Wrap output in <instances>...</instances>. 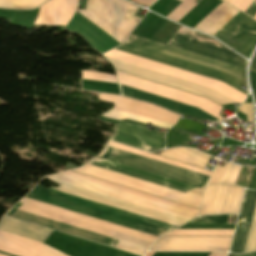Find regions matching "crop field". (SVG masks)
Returning a JSON list of instances; mask_svg holds the SVG:
<instances>
[{
	"label": "crop field",
	"instance_id": "43",
	"mask_svg": "<svg viewBox=\"0 0 256 256\" xmlns=\"http://www.w3.org/2000/svg\"><path fill=\"white\" fill-rule=\"evenodd\" d=\"M230 2L231 0H225ZM254 0H232L230 3L241 9L242 11H246V9L251 5Z\"/></svg>",
	"mask_w": 256,
	"mask_h": 256
},
{
	"label": "crop field",
	"instance_id": "39",
	"mask_svg": "<svg viewBox=\"0 0 256 256\" xmlns=\"http://www.w3.org/2000/svg\"><path fill=\"white\" fill-rule=\"evenodd\" d=\"M81 71L83 73L82 78L117 83L115 76L101 74V73H95V72H89V71H83V70H81Z\"/></svg>",
	"mask_w": 256,
	"mask_h": 256
},
{
	"label": "crop field",
	"instance_id": "8",
	"mask_svg": "<svg viewBox=\"0 0 256 256\" xmlns=\"http://www.w3.org/2000/svg\"><path fill=\"white\" fill-rule=\"evenodd\" d=\"M86 9L126 38L140 18L139 7L124 0H87Z\"/></svg>",
	"mask_w": 256,
	"mask_h": 256
},
{
	"label": "crop field",
	"instance_id": "10",
	"mask_svg": "<svg viewBox=\"0 0 256 256\" xmlns=\"http://www.w3.org/2000/svg\"><path fill=\"white\" fill-rule=\"evenodd\" d=\"M117 70L124 71L133 75H137L146 79H150L159 83H163L172 87H176L185 91H189L198 95L205 96L221 105L228 103H238L229 97L213 90L187 81H183L174 77H170L161 73H157L148 69H144L135 65L121 62L106 57Z\"/></svg>",
	"mask_w": 256,
	"mask_h": 256
},
{
	"label": "crop field",
	"instance_id": "50",
	"mask_svg": "<svg viewBox=\"0 0 256 256\" xmlns=\"http://www.w3.org/2000/svg\"><path fill=\"white\" fill-rule=\"evenodd\" d=\"M237 256H256V252L248 253V254H242V255H237Z\"/></svg>",
	"mask_w": 256,
	"mask_h": 256
},
{
	"label": "crop field",
	"instance_id": "11",
	"mask_svg": "<svg viewBox=\"0 0 256 256\" xmlns=\"http://www.w3.org/2000/svg\"><path fill=\"white\" fill-rule=\"evenodd\" d=\"M214 36L248 58L256 45V21L240 12Z\"/></svg>",
	"mask_w": 256,
	"mask_h": 256
},
{
	"label": "crop field",
	"instance_id": "40",
	"mask_svg": "<svg viewBox=\"0 0 256 256\" xmlns=\"http://www.w3.org/2000/svg\"><path fill=\"white\" fill-rule=\"evenodd\" d=\"M241 166H237V165H233L231 164L227 174L225 175L222 183L224 184H230V185H233L240 170H241Z\"/></svg>",
	"mask_w": 256,
	"mask_h": 256
},
{
	"label": "crop field",
	"instance_id": "53",
	"mask_svg": "<svg viewBox=\"0 0 256 256\" xmlns=\"http://www.w3.org/2000/svg\"><path fill=\"white\" fill-rule=\"evenodd\" d=\"M179 1L183 2L184 0H179Z\"/></svg>",
	"mask_w": 256,
	"mask_h": 256
},
{
	"label": "crop field",
	"instance_id": "44",
	"mask_svg": "<svg viewBox=\"0 0 256 256\" xmlns=\"http://www.w3.org/2000/svg\"><path fill=\"white\" fill-rule=\"evenodd\" d=\"M131 1L137 3V4L141 5V6L146 5V6L149 7L156 0H131Z\"/></svg>",
	"mask_w": 256,
	"mask_h": 256
},
{
	"label": "crop field",
	"instance_id": "2",
	"mask_svg": "<svg viewBox=\"0 0 256 256\" xmlns=\"http://www.w3.org/2000/svg\"><path fill=\"white\" fill-rule=\"evenodd\" d=\"M147 41L148 39L130 35L125 43L120 47L139 52ZM140 53L217 76L238 86L240 85V70L232 65L189 53L151 40L147 42ZM241 85L247 87L245 83V72L242 70Z\"/></svg>",
	"mask_w": 256,
	"mask_h": 256
},
{
	"label": "crop field",
	"instance_id": "32",
	"mask_svg": "<svg viewBox=\"0 0 256 256\" xmlns=\"http://www.w3.org/2000/svg\"><path fill=\"white\" fill-rule=\"evenodd\" d=\"M220 185L206 186L199 215L213 214Z\"/></svg>",
	"mask_w": 256,
	"mask_h": 256
},
{
	"label": "crop field",
	"instance_id": "14",
	"mask_svg": "<svg viewBox=\"0 0 256 256\" xmlns=\"http://www.w3.org/2000/svg\"><path fill=\"white\" fill-rule=\"evenodd\" d=\"M231 238L161 237L149 251H228Z\"/></svg>",
	"mask_w": 256,
	"mask_h": 256
},
{
	"label": "crop field",
	"instance_id": "22",
	"mask_svg": "<svg viewBox=\"0 0 256 256\" xmlns=\"http://www.w3.org/2000/svg\"><path fill=\"white\" fill-rule=\"evenodd\" d=\"M255 204L256 191L246 190L230 252L241 253L244 251Z\"/></svg>",
	"mask_w": 256,
	"mask_h": 256
},
{
	"label": "crop field",
	"instance_id": "20",
	"mask_svg": "<svg viewBox=\"0 0 256 256\" xmlns=\"http://www.w3.org/2000/svg\"><path fill=\"white\" fill-rule=\"evenodd\" d=\"M0 243L14 246V247L24 249L27 251H31V252L41 254L44 256H62V255H64V254H62L44 244H42V245H44L62 255L42 246L40 243L33 242V241H30V240H27V239H24L21 237H17V236H14V235H11V234H8L5 232H1V231H0ZM3 244H0V251H2V252H6V253L13 254L16 256H41V255H37V254L31 253V252H27V251L20 250V249L10 247L7 245H3ZM64 256H66V255H64Z\"/></svg>",
	"mask_w": 256,
	"mask_h": 256
},
{
	"label": "crop field",
	"instance_id": "26",
	"mask_svg": "<svg viewBox=\"0 0 256 256\" xmlns=\"http://www.w3.org/2000/svg\"><path fill=\"white\" fill-rule=\"evenodd\" d=\"M244 188L221 185L214 214H238Z\"/></svg>",
	"mask_w": 256,
	"mask_h": 256
},
{
	"label": "crop field",
	"instance_id": "37",
	"mask_svg": "<svg viewBox=\"0 0 256 256\" xmlns=\"http://www.w3.org/2000/svg\"><path fill=\"white\" fill-rule=\"evenodd\" d=\"M81 14H83L85 17H87L89 20H91L93 23H95L97 26H99L101 29H103L105 32H107L109 35H111L113 38H115L120 43L125 39L121 35H119L117 32H115L113 29H111L109 26H107L105 23H103L101 20H99L97 17H95L93 14H91L87 10H77Z\"/></svg>",
	"mask_w": 256,
	"mask_h": 256
},
{
	"label": "crop field",
	"instance_id": "18",
	"mask_svg": "<svg viewBox=\"0 0 256 256\" xmlns=\"http://www.w3.org/2000/svg\"><path fill=\"white\" fill-rule=\"evenodd\" d=\"M121 92L122 95H126L135 99H141V100H145L148 102H152V103H156L159 104L171 111L180 113V114H184V115H188V116H193L201 121L205 120L206 118L212 120V121H216L218 119L214 118L213 116L205 113L204 111L193 107V106H189L180 102H176L167 98H163L154 94H150L141 90H137L128 86H124L121 85Z\"/></svg>",
	"mask_w": 256,
	"mask_h": 256
},
{
	"label": "crop field",
	"instance_id": "35",
	"mask_svg": "<svg viewBox=\"0 0 256 256\" xmlns=\"http://www.w3.org/2000/svg\"><path fill=\"white\" fill-rule=\"evenodd\" d=\"M201 0H185L180 4L167 18L178 22L184 17L192 8H194Z\"/></svg>",
	"mask_w": 256,
	"mask_h": 256
},
{
	"label": "crop field",
	"instance_id": "16",
	"mask_svg": "<svg viewBox=\"0 0 256 256\" xmlns=\"http://www.w3.org/2000/svg\"><path fill=\"white\" fill-rule=\"evenodd\" d=\"M99 99L103 101H108L115 103V107L113 109L169 122L175 123L177 119L180 117L179 115L167 112L161 108L152 106L150 104L134 101L124 97H117L111 95H103L99 94Z\"/></svg>",
	"mask_w": 256,
	"mask_h": 256
},
{
	"label": "crop field",
	"instance_id": "15",
	"mask_svg": "<svg viewBox=\"0 0 256 256\" xmlns=\"http://www.w3.org/2000/svg\"><path fill=\"white\" fill-rule=\"evenodd\" d=\"M117 134L111 140L148 151L154 147L164 148V133L153 132L131 124L119 122Z\"/></svg>",
	"mask_w": 256,
	"mask_h": 256
},
{
	"label": "crop field",
	"instance_id": "34",
	"mask_svg": "<svg viewBox=\"0 0 256 256\" xmlns=\"http://www.w3.org/2000/svg\"><path fill=\"white\" fill-rule=\"evenodd\" d=\"M48 0H0V8L34 9ZM24 6V7H15Z\"/></svg>",
	"mask_w": 256,
	"mask_h": 256
},
{
	"label": "crop field",
	"instance_id": "27",
	"mask_svg": "<svg viewBox=\"0 0 256 256\" xmlns=\"http://www.w3.org/2000/svg\"><path fill=\"white\" fill-rule=\"evenodd\" d=\"M160 156L205 168L210 156L190 148L164 150Z\"/></svg>",
	"mask_w": 256,
	"mask_h": 256
},
{
	"label": "crop field",
	"instance_id": "1",
	"mask_svg": "<svg viewBox=\"0 0 256 256\" xmlns=\"http://www.w3.org/2000/svg\"><path fill=\"white\" fill-rule=\"evenodd\" d=\"M27 197H31L158 236H162L176 228V226L170 224L82 199L56 190L50 189L48 191L38 185L30 194L27 195Z\"/></svg>",
	"mask_w": 256,
	"mask_h": 256
},
{
	"label": "crop field",
	"instance_id": "6",
	"mask_svg": "<svg viewBox=\"0 0 256 256\" xmlns=\"http://www.w3.org/2000/svg\"><path fill=\"white\" fill-rule=\"evenodd\" d=\"M47 178L60 181L66 184H70L76 187H80L86 190H90L96 193H100L106 196L117 198L123 201H127L133 204H137L143 207H147L153 210H157L163 213H167L173 216H177L183 219L189 220L197 216V213H193L187 210H183L177 207H173L167 204H163L157 201H153L147 198H143L137 195H133L127 192H123L117 189H113V188L103 186L97 183H93L87 180H83L77 177H73L67 174L60 173Z\"/></svg>",
	"mask_w": 256,
	"mask_h": 256
},
{
	"label": "crop field",
	"instance_id": "42",
	"mask_svg": "<svg viewBox=\"0 0 256 256\" xmlns=\"http://www.w3.org/2000/svg\"><path fill=\"white\" fill-rule=\"evenodd\" d=\"M239 111L247 115V122H253V112L251 104L243 103L239 106Z\"/></svg>",
	"mask_w": 256,
	"mask_h": 256
},
{
	"label": "crop field",
	"instance_id": "21",
	"mask_svg": "<svg viewBox=\"0 0 256 256\" xmlns=\"http://www.w3.org/2000/svg\"><path fill=\"white\" fill-rule=\"evenodd\" d=\"M18 209H21V210H24V211H27V212H30V213H34V214H37V215H40V216H44V217H47V218H50V219H53V220H57V221H60V222L66 223V224H70V225H73V226H76V227H80V228H83V229H86V230H89V231H93V232H96V233H99V234H103V235H106V236H109V237L115 238V236L117 235V232L110 231V230H107V229H104V228H100V227H97V226H94V225H90V224H87V223H84V222H80V221H77V220H74V219H70V218H67V217H64V216H61V215H57V214H54V213H51V212L40 210V209H37V208H34V207H30V206H27V205H24V204H22ZM116 239H120V240H123V241H126V242H130V243L137 244V245H140V246H143V247H147V248H150V246L152 245V242H148V241H145V240H141V239L134 238V237L127 236V235H124V234H120V233H118V235L116 236Z\"/></svg>",
	"mask_w": 256,
	"mask_h": 256
},
{
	"label": "crop field",
	"instance_id": "19",
	"mask_svg": "<svg viewBox=\"0 0 256 256\" xmlns=\"http://www.w3.org/2000/svg\"><path fill=\"white\" fill-rule=\"evenodd\" d=\"M77 6L78 0H51L41 7L34 24L67 25Z\"/></svg>",
	"mask_w": 256,
	"mask_h": 256
},
{
	"label": "crop field",
	"instance_id": "47",
	"mask_svg": "<svg viewBox=\"0 0 256 256\" xmlns=\"http://www.w3.org/2000/svg\"><path fill=\"white\" fill-rule=\"evenodd\" d=\"M227 253H211L209 256H226Z\"/></svg>",
	"mask_w": 256,
	"mask_h": 256
},
{
	"label": "crop field",
	"instance_id": "9",
	"mask_svg": "<svg viewBox=\"0 0 256 256\" xmlns=\"http://www.w3.org/2000/svg\"><path fill=\"white\" fill-rule=\"evenodd\" d=\"M117 77L121 84L128 85L137 89H141L150 93H154L163 97H167L176 101H180L189 105L196 106L209 114L223 120L218 115L220 110L223 108L205 98L198 97L186 92H182L170 87H166L157 83H153L141 78H137L125 73L117 71Z\"/></svg>",
	"mask_w": 256,
	"mask_h": 256
},
{
	"label": "crop field",
	"instance_id": "38",
	"mask_svg": "<svg viewBox=\"0 0 256 256\" xmlns=\"http://www.w3.org/2000/svg\"><path fill=\"white\" fill-rule=\"evenodd\" d=\"M256 250V208L253 216V220L251 223L245 251H255Z\"/></svg>",
	"mask_w": 256,
	"mask_h": 256
},
{
	"label": "crop field",
	"instance_id": "36",
	"mask_svg": "<svg viewBox=\"0 0 256 256\" xmlns=\"http://www.w3.org/2000/svg\"><path fill=\"white\" fill-rule=\"evenodd\" d=\"M115 49H118V50H122V51H125V52H128V53H132V54H135V55H138V56H141V57H145V58H148V59H151V60H154V61H158V62H161V63H164V64H168V65H171V66H174V67H177V68H181V69H184V70H187V71H190V72H194V73H197V74H200V75H204V76H207V77H210V78H213V79H217V80H220L228 85H230L231 87L237 89L238 91L244 93V94H247V91L223 80V79H220V78H216V77H213V76H210V75H207V74H204V73H200V72H197V71H194V70H191V69H188V68H184V67H181V66H178V65H175V64H171V63H168V62H165V61H162V60H159V59H155V58H152V57H149V56H146V55H143V54H139V53H136V52H133V51H130V50H127V49H123V48H120V47H117Z\"/></svg>",
	"mask_w": 256,
	"mask_h": 256
},
{
	"label": "crop field",
	"instance_id": "41",
	"mask_svg": "<svg viewBox=\"0 0 256 256\" xmlns=\"http://www.w3.org/2000/svg\"><path fill=\"white\" fill-rule=\"evenodd\" d=\"M229 166H230L229 163H226L224 168L217 166V168H216L214 174L212 175L208 184L221 183V181H222L225 173L227 172Z\"/></svg>",
	"mask_w": 256,
	"mask_h": 256
},
{
	"label": "crop field",
	"instance_id": "4",
	"mask_svg": "<svg viewBox=\"0 0 256 256\" xmlns=\"http://www.w3.org/2000/svg\"><path fill=\"white\" fill-rule=\"evenodd\" d=\"M168 45L229 63L245 70L246 60L212 38L188 28L181 27L168 42Z\"/></svg>",
	"mask_w": 256,
	"mask_h": 256
},
{
	"label": "crop field",
	"instance_id": "23",
	"mask_svg": "<svg viewBox=\"0 0 256 256\" xmlns=\"http://www.w3.org/2000/svg\"><path fill=\"white\" fill-rule=\"evenodd\" d=\"M20 203L31 205V206H34V207H37V208H41V209H44V210H47V211H51V212H54V213H57V214L67 216V217L78 219V220H81V221H84V222H88V223H91V224H94V225L105 227V228L115 230V231H118V232H121V233H125V234H128V235H132V236L142 238V239H145V240H148V241L154 242L158 238V237H154V236L144 234V233H141V232H138V231L127 229V228H124V227H121V226H117V225H114V224H111V223L100 221V220H97V219H94V218H90V217H87V216H84V215H80V214L73 213V212H70V211H67V210H63V209H60V208H57V207H53V206L46 205V204H43V203H40V202H36V201L30 200V199L24 198L23 200L20 201Z\"/></svg>",
	"mask_w": 256,
	"mask_h": 256
},
{
	"label": "crop field",
	"instance_id": "12",
	"mask_svg": "<svg viewBox=\"0 0 256 256\" xmlns=\"http://www.w3.org/2000/svg\"><path fill=\"white\" fill-rule=\"evenodd\" d=\"M6 215L17 218V219H20V220H24V221H27V222H31V223H34V224H37V225H41V226H44V227L55 229V230H58V231H61V232H65V233H68V234L79 236V237H82V238H85V239H89V240H92V241L103 243V244L113 246V247H115L117 245V243L119 242V240H116V239H112V238L102 236V235H99V234H96V233H93V232H89V231L82 230V229H79V228H76V227H72V226H69V225H66V224H62V223L55 222V221L45 219V218H42V217H38V216H35V215H32V214H28V213H25V212H22V211H18L14 208H12ZM116 248H120V249H123V250H126V251H130V252H133V253H136V254H140V255H144L147 251V248H143V247L136 246V245L129 244V243H126V242H122V241H120L118 243Z\"/></svg>",
	"mask_w": 256,
	"mask_h": 256
},
{
	"label": "crop field",
	"instance_id": "7",
	"mask_svg": "<svg viewBox=\"0 0 256 256\" xmlns=\"http://www.w3.org/2000/svg\"><path fill=\"white\" fill-rule=\"evenodd\" d=\"M105 56L112 57L121 61H125L131 64H135L144 68H148L157 72H161L170 76H174L183 80H187L193 83H197L206 87H210L216 89L223 94L239 101L242 103L246 97V95L238 92L237 90L231 88L230 86L213 79H209L206 77H202L199 75H195L192 73H188L179 69H175L163 64H159L144 58H140L125 52H121L118 50H111L108 53L104 54Z\"/></svg>",
	"mask_w": 256,
	"mask_h": 256
},
{
	"label": "crop field",
	"instance_id": "25",
	"mask_svg": "<svg viewBox=\"0 0 256 256\" xmlns=\"http://www.w3.org/2000/svg\"><path fill=\"white\" fill-rule=\"evenodd\" d=\"M0 230L42 242L50 233V229L33 225L24 221L4 216Z\"/></svg>",
	"mask_w": 256,
	"mask_h": 256
},
{
	"label": "crop field",
	"instance_id": "3",
	"mask_svg": "<svg viewBox=\"0 0 256 256\" xmlns=\"http://www.w3.org/2000/svg\"><path fill=\"white\" fill-rule=\"evenodd\" d=\"M98 158H102L203 189L209 178L205 175H201L108 146L106 147L103 154Z\"/></svg>",
	"mask_w": 256,
	"mask_h": 256
},
{
	"label": "crop field",
	"instance_id": "48",
	"mask_svg": "<svg viewBox=\"0 0 256 256\" xmlns=\"http://www.w3.org/2000/svg\"><path fill=\"white\" fill-rule=\"evenodd\" d=\"M251 88L256 92V83L250 79Z\"/></svg>",
	"mask_w": 256,
	"mask_h": 256
},
{
	"label": "crop field",
	"instance_id": "33",
	"mask_svg": "<svg viewBox=\"0 0 256 256\" xmlns=\"http://www.w3.org/2000/svg\"><path fill=\"white\" fill-rule=\"evenodd\" d=\"M234 230H174L164 236H232Z\"/></svg>",
	"mask_w": 256,
	"mask_h": 256
},
{
	"label": "crop field",
	"instance_id": "31",
	"mask_svg": "<svg viewBox=\"0 0 256 256\" xmlns=\"http://www.w3.org/2000/svg\"><path fill=\"white\" fill-rule=\"evenodd\" d=\"M102 116H106V117H110L118 120L129 119V120H133V121H137V122H141V123H145L153 126L166 128V129H169L173 125V124H169V123H165V122H161V121H157V120H153V119H149V118H145V117H141V116H137V115H133V114H129V113L113 110V109L105 112L104 114H102Z\"/></svg>",
	"mask_w": 256,
	"mask_h": 256
},
{
	"label": "crop field",
	"instance_id": "29",
	"mask_svg": "<svg viewBox=\"0 0 256 256\" xmlns=\"http://www.w3.org/2000/svg\"><path fill=\"white\" fill-rule=\"evenodd\" d=\"M64 173H67V174H70V175H73V176H77V177H80V178H83V179H87V180H90V181H93V182H97V183H100V184H103V185H107V186H110V187H113V188H117V189H120V190H123V191H127V192H130V193H133V194H137V195H140V196H143V197H147V198H150V199H153V200H157V201H160V202H163V203H167V204H170V205H173V206H177V207H180V208H183V209H187V210H190V211H193V212L198 213V211H199L198 209H195V208H191V207H188V206H185V205H181V204H178V203H175V202H171V201H168V200H165V199H161V198H158V197H155V196H151V195H148V194H145V193H142V192H138V191H135V190H132V189H128V188H125V187H122V186H118V185H115V184H112V183H109V182H105V181L95 179V178H92V177H89V176H85V175H82V174H79V173H75V172H72V171H68V172H64Z\"/></svg>",
	"mask_w": 256,
	"mask_h": 256
},
{
	"label": "crop field",
	"instance_id": "28",
	"mask_svg": "<svg viewBox=\"0 0 256 256\" xmlns=\"http://www.w3.org/2000/svg\"><path fill=\"white\" fill-rule=\"evenodd\" d=\"M228 215L204 216L191 220L178 229H234L235 225H225Z\"/></svg>",
	"mask_w": 256,
	"mask_h": 256
},
{
	"label": "crop field",
	"instance_id": "24",
	"mask_svg": "<svg viewBox=\"0 0 256 256\" xmlns=\"http://www.w3.org/2000/svg\"><path fill=\"white\" fill-rule=\"evenodd\" d=\"M239 12L232 5L223 2L196 25L194 29L213 36Z\"/></svg>",
	"mask_w": 256,
	"mask_h": 256
},
{
	"label": "crop field",
	"instance_id": "46",
	"mask_svg": "<svg viewBox=\"0 0 256 256\" xmlns=\"http://www.w3.org/2000/svg\"><path fill=\"white\" fill-rule=\"evenodd\" d=\"M250 69H252L256 72V53L251 61Z\"/></svg>",
	"mask_w": 256,
	"mask_h": 256
},
{
	"label": "crop field",
	"instance_id": "54",
	"mask_svg": "<svg viewBox=\"0 0 256 256\" xmlns=\"http://www.w3.org/2000/svg\"><path fill=\"white\" fill-rule=\"evenodd\" d=\"M253 19H255V20H256V16H255Z\"/></svg>",
	"mask_w": 256,
	"mask_h": 256
},
{
	"label": "crop field",
	"instance_id": "17",
	"mask_svg": "<svg viewBox=\"0 0 256 256\" xmlns=\"http://www.w3.org/2000/svg\"><path fill=\"white\" fill-rule=\"evenodd\" d=\"M89 164L96 165V166H99V167H102V168H106V169H109V170H112V171H115V172H119V173H122V174H125V175H129V176H132V177H135V178H139V179H142V180H145V181H148V182H152V183H155V184H158V185H162V186H165V187H168V188H171V189H175V190H178V191H181V192H184V193H188V194H191V195L193 194V192L195 190V187H191V186H188V185H185V184H181V183H178V182H175V181H171V180H168V179H165V178H161V177H158V176H155V175H151V174H148V173H145V172H141V171H138V170H135V169H131V168L121 166V165H118V164H115V163H111V162H108V161H105V160H101V159H98V158L93 159L91 162H89ZM203 192H204V190L197 188L195 193H194V196H198V197L202 198Z\"/></svg>",
	"mask_w": 256,
	"mask_h": 256
},
{
	"label": "crop field",
	"instance_id": "51",
	"mask_svg": "<svg viewBox=\"0 0 256 256\" xmlns=\"http://www.w3.org/2000/svg\"><path fill=\"white\" fill-rule=\"evenodd\" d=\"M154 253H147L145 256H152Z\"/></svg>",
	"mask_w": 256,
	"mask_h": 256
},
{
	"label": "crop field",
	"instance_id": "13",
	"mask_svg": "<svg viewBox=\"0 0 256 256\" xmlns=\"http://www.w3.org/2000/svg\"><path fill=\"white\" fill-rule=\"evenodd\" d=\"M51 181H53V180H51ZM53 182L59 184L60 186L57 189L54 188V187L52 189H56V190H59V191H62V192L72 194V195L83 197V198H86V199H89V200H93V201H96V202H99V203H103V204H106V205H109V206L120 208V209H123V210H126V211H130V212H133V213H136V214L147 216V217L157 219V220L167 222V223L177 225V226H180V225L184 224L185 222H187V220H183V219H180V218H177V217H173V216H170V215H167V214H163V213L153 211V210H150V209H147V208H143V207H140V206H137V205H133V204H130V203H127V202L116 200V199H113V198H110V197H106V196H103V195H100V194H96V193L86 191V190H83V189H80V188H76V187H73V186H70V185H66V184H63V183H60V182H56V181H53Z\"/></svg>",
	"mask_w": 256,
	"mask_h": 256
},
{
	"label": "crop field",
	"instance_id": "49",
	"mask_svg": "<svg viewBox=\"0 0 256 256\" xmlns=\"http://www.w3.org/2000/svg\"><path fill=\"white\" fill-rule=\"evenodd\" d=\"M250 78L256 82V73L250 71Z\"/></svg>",
	"mask_w": 256,
	"mask_h": 256
},
{
	"label": "crop field",
	"instance_id": "52",
	"mask_svg": "<svg viewBox=\"0 0 256 256\" xmlns=\"http://www.w3.org/2000/svg\"><path fill=\"white\" fill-rule=\"evenodd\" d=\"M1 254H4V255H7V256H13V255H9V254H6V253H2V252H0Z\"/></svg>",
	"mask_w": 256,
	"mask_h": 256
},
{
	"label": "crop field",
	"instance_id": "30",
	"mask_svg": "<svg viewBox=\"0 0 256 256\" xmlns=\"http://www.w3.org/2000/svg\"><path fill=\"white\" fill-rule=\"evenodd\" d=\"M108 146L115 147V148H118V149H121V150H125V151L131 152V153H135V154H138V155H141V156H145V157H148V158H151V159H155V160H158V161H161V162H165V163H168V164H171V165H175V166L185 168V169H188V170H191V171H195V172H198V173H201V174H205V175H208V176L211 173L210 171H206V170L196 168V167H193V166H190V165L179 163V162L169 160V159H166V158H163V157L151 155V154H148V153H145V152H142V151H138V150H135V149L123 146V145L113 143V142H109Z\"/></svg>",
	"mask_w": 256,
	"mask_h": 256
},
{
	"label": "crop field",
	"instance_id": "45",
	"mask_svg": "<svg viewBox=\"0 0 256 256\" xmlns=\"http://www.w3.org/2000/svg\"><path fill=\"white\" fill-rule=\"evenodd\" d=\"M247 15H249L250 17H254L256 14V1L253 3V5L248 9V11L246 12Z\"/></svg>",
	"mask_w": 256,
	"mask_h": 256
},
{
	"label": "crop field",
	"instance_id": "5",
	"mask_svg": "<svg viewBox=\"0 0 256 256\" xmlns=\"http://www.w3.org/2000/svg\"><path fill=\"white\" fill-rule=\"evenodd\" d=\"M89 176H93L102 180H106L112 183H116L125 187H129L138 191H142L148 194H152L160 197L165 187H161L155 184H151L142 180H138L129 176H125L119 173H115L106 169H102L92 165H85L83 168L74 170ZM161 198L169 199L172 201L180 202L194 207H200L201 198L194 197L188 194H184L178 191H174L166 188Z\"/></svg>",
	"mask_w": 256,
	"mask_h": 256
},
{
	"label": "crop field",
	"instance_id": "55",
	"mask_svg": "<svg viewBox=\"0 0 256 256\" xmlns=\"http://www.w3.org/2000/svg\"><path fill=\"white\" fill-rule=\"evenodd\" d=\"M0 256H4V255H1V254H0Z\"/></svg>",
	"mask_w": 256,
	"mask_h": 256
}]
</instances>
